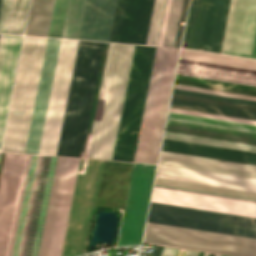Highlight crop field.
<instances>
[{"instance_id": "1", "label": "crop field", "mask_w": 256, "mask_h": 256, "mask_svg": "<svg viewBox=\"0 0 256 256\" xmlns=\"http://www.w3.org/2000/svg\"><path fill=\"white\" fill-rule=\"evenodd\" d=\"M104 43L79 41L57 153L81 157ZM134 45H108L86 157L111 160Z\"/></svg>"}, {"instance_id": "2", "label": "crop field", "mask_w": 256, "mask_h": 256, "mask_svg": "<svg viewBox=\"0 0 256 256\" xmlns=\"http://www.w3.org/2000/svg\"><path fill=\"white\" fill-rule=\"evenodd\" d=\"M47 38L24 37L2 151L24 153Z\"/></svg>"}, {"instance_id": "3", "label": "crop field", "mask_w": 256, "mask_h": 256, "mask_svg": "<svg viewBox=\"0 0 256 256\" xmlns=\"http://www.w3.org/2000/svg\"><path fill=\"white\" fill-rule=\"evenodd\" d=\"M178 51L156 49L134 162L157 161Z\"/></svg>"}, {"instance_id": "4", "label": "crop field", "mask_w": 256, "mask_h": 256, "mask_svg": "<svg viewBox=\"0 0 256 256\" xmlns=\"http://www.w3.org/2000/svg\"><path fill=\"white\" fill-rule=\"evenodd\" d=\"M56 159L31 157L12 256H37Z\"/></svg>"}, {"instance_id": "5", "label": "crop field", "mask_w": 256, "mask_h": 256, "mask_svg": "<svg viewBox=\"0 0 256 256\" xmlns=\"http://www.w3.org/2000/svg\"><path fill=\"white\" fill-rule=\"evenodd\" d=\"M155 49L134 47L112 160H134Z\"/></svg>"}, {"instance_id": "6", "label": "crop field", "mask_w": 256, "mask_h": 256, "mask_svg": "<svg viewBox=\"0 0 256 256\" xmlns=\"http://www.w3.org/2000/svg\"><path fill=\"white\" fill-rule=\"evenodd\" d=\"M144 242L234 256H256V239L147 222Z\"/></svg>"}, {"instance_id": "7", "label": "crop field", "mask_w": 256, "mask_h": 256, "mask_svg": "<svg viewBox=\"0 0 256 256\" xmlns=\"http://www.w3.org/2000/svg\"><path fill=\"white\" fill-rule=\"evenodd\" d=\"M30 157L5 155L0 180V256H11Z\"/></svg>"}, {"instance_id": "8", "label": "crop field", "mask_w": 256, "mask_h": 256, "mask_svg": "<svg viewBox=\"0 0 256 256\" xmlns=\"http://www.w3.org/2000/svg\"><path fill=\"white\" fill-rule=\"evenodd\" d=\"M68 158L58 157L38 256H49ZM79 159L69 158L50 256H60Z\"/></svg>"}, {"instance_id": "9", "label": "crop field", "mask_w": 256, "mask_h": 256, "mask_svg": "<svg viewBox=\"0 0 256 256\" xmlns=\"http://www.w3.org/2000/svg\"><path fill=\"white\" fill-rule=\"evenodd\" d=\"M147 221L256 238V219L151 203Z\"/></svg>"}, {"instance_id": "10", "label": "crop field", "mask_w": 256, "mask_h": 256, "mask_svg": "<svg viewBox=\"0 0 256 256\" xmlns=\"http://www.w3.org/2000/svg\"><path fill=\"white\" fill-rule=\"evenodd\" d=\"M78 41L62 39L39 154L55 155Z\"/></svg>"}, {"instance_id": "11", "label": "crop field", "mask_w": 256, "mask_h": 256, "mask_svg": "<svg viewBox=\"0 0 256 256\" xmlns=\"http://www.w3.org/2000/svg\"><path fill=\"white\" fill-rule=\"evenodd\" d=\"M155 168L150 164L133 165L117 246L141 242Z\"/></svg>"}, {"instance_id": "12", "label": "crop field", "mask_w": 256, "mask_h": 256, "mask_svg": "<svg viewBox=\"0 0 256 256\" xmlns=\"http://www.w3.org/2000/svg\"><path fill=\"white\" fill-rule=\"evenodd\" d=\"M156 176L256 191V182L254 181L220 177L201 173L158 167ZM159 177H156L154 185L256 201V192L165 179Z\"/></svg>"}, {"instance_id": "13", "label": "crop field", "mask_w": 256, "mask_h": 256, "mask_svg": "<svg viewBox=\"0 0 256 256\" xmlns=\"http://www.w3.org/2000/svg\"><path fill=\"white\" fill-rule=\"evenodd\" d=\"M161 151L256 165V161L254 160H247V159L228 157V156H222V155H216V154L196 152V151L177 149V148H171V147H165V146H162ZM164 152H161L160 161H159V164H162V165L182 167V168H188V169L202 170V171L222 173V174L256 179V166L210 160V159L197 158V157H190V156L177 155V154H170V153H164ZM162 165H158V166L168 167V166H162ZM175 167H168V168H175ZM182 168H175V169H182ZM188 169H182V170H188ZM195 170H189V171H195ZM202 171H195V172H202ZM208 172H202V173H208ZM215 173H209V174H215ZM222 174H216V175H222ZM228 175H223V176H228ZM235 176H230V177H235ZM242 177H237V178H242ZM248 178H244V179H248ZM255 179H251V180H255Z\"/></svg>"}, {"instance_id": "14", "label": "crop field", "mask_w": 256, "mask_h": 256, "mask_svg": "<svg viewBox=\"0 0 256 256\" xmlns=\"http://www.w3.org/2000/svg\"><path fill=\"white\" fill-rule=\"evenodd\" d=\"M208 195L154 187L151 202L256 218L254 202Z\"/></svg>"}, {"instance_id": "15", "label": "crop field", "mask_w": 256, "mask_h": 256, "mask_svg": "<svg viewBox=\"0 0 256 256\" xmlns=\"http://www.w3.org/2000/svg\"><path fill=\"white\" fill-rule=\"evenodd\" d=\"M116 0H87L79 39L108 41ZM126 0H117L109 41L118 42Z\"/></svg>"}, {"instance_id": "16", "label": "crop field", "mask_w": 256, "mask_h": 256, "mask_svg": "<svg viewBox=\"0 0 256 256\" xmlns=\"http://www.w3.org/2000/svg\"><path fill=\"white\" fill-rule=\"evenodd\" d=\"M61 39L48 38L25 153L38 154Z\"/></svg>"}, {"instance_id": "17", "label": "crop field", "mask_w": 256, "mask_h": 256, "mask_svg": "<svg viewBox=\"0 0 256 256\" xmlns=\"http://www.w3.org/2000/svg\"><path fill=\"white\" fill-rule=\"evenodd\" d=\"M165 138L256 152V144L167 130ZM164 139L165 146L256 159V153Z\"/></svg>"}, {"instance_id": "18", "label": "crop field", "mask_w": 256, "mask_h": 256, "mask_svg": "<svg viewBox=\"0 0 256 256\" xmlns=\"http://www.w3.org/2000/svg\"><path fill=\"white\" fill-rule=\"evenodd\" d=\"M22 36L0 37V144Z\"/></svg>"}, {"instance_id": "19", "label": "crop field", "mask_w": 256, "mask_h": 256, "mask_svg": "<svg viewBox=\"0 0 256 256\" xmlns=\"http://www.w3.org/2000/svg\"><path fill=\"white\" fill-rule=\"evenodd\" d=\"M231 55L256 59V0H242Z\"/></svg>"}, {"instance_id": "20", "label": "crop field", "mask_w": 256, "mask_h": 256, "mask_svg": "<svg viewBox=\"0 0 256 256\" xmlns=\"http://www.w3.org/2000/svg\"><path fill=\"white\" fill-rule=\"evenodd\" d=\"M167 129L256 143V131L169 118Z\"/></svg>"}, {"instance_id": "21", "label": "crop field", "mask_w": 256, "mask_h": 256, "mask_svg": "<svg viewBox=\"0 0 256 256\" xmlns=\"http://www.w3.org/2000/svg\"><path fill=\"white\" fill-rule=\"evenodd\" d=\"M170 2H171V0H167V3H166L165 13H164V18H163L159 43H158V45H160V46H162V44H163L165 28H166V23H167L169 8H170ZM182 5H183V0H172L163 46L174 47V45H175ZM187 5H188V0H184L180 23L184 22V20H185ZM183 27H184V25H179V30H178L175 47H179V45H180Z\"/></svg>"}, {"instance_id": "22", "label": "crop field", "mask_w": 256, "mask_h": 256, "mask_svg": "<svg viewBox=\"0 0 256 256\" xmlns=\"http://www.w3.org/2000/svg\"><path fill=\"white\" fill-rule=\"evenodd\" d=\"M155 0H145L136 44L146 45ZM165 0H156L147 45H156Z\"/></svg>"}, {"instance_id": "23", "label": "crop field", "mask_w": 256, "mask_h": 256, "mask_svg": "<svg viewBox=\"0 0 256 256\" xmlns=\"http://www.w3.org/2000/svg\"><path fill=\"white\" fill-rule=\"evenodd\" d=\"M29 0H0V33L22 34Z\"/></svg>"}, {"instance_id": "24", "label": "crop field", "mask_w": 256, "mask_h": 256, "mask_svg": "<svg viewBox=\"0 0 256 256\" xmlns=\"http://www.w3.org/2000/svg\"><path fill=\"white\" fill-rule=\"evenodd\" d=\"M54 0H32L25 35L47 36Z\"/></svg>"}, {"instance_id": "25", "label": "crop field", "mask_w": 256, "mask_h": 256, "mask_svg": "<svg viewBox=\"0 0 256 256\" xmlns=\"http://www.w3.org/2000/svg\"><path fill=\"white\" fill-rule=\"evenodd\" d=\"M178 69L256 80V71L180 59Z\"/></svg>"}, {"instance_id": "26", "label": "crop field", "mask_w": 256, "mask_h": 256, "mask_svg": "<svg viewBox=\"0 0 256 256\" xmlns=\"http://www.w3.org/2000/svg\"><path fill=\"white\" fill-rule=\"evenodd\" d=\"M218 0H203L193 49L208 51Z\"/></svg>"}, {"instance_id": "27", "label": "crop field", "mask_w": 256, "mask_h": 256, "mask_svg": "<svg viewBox=\"0 0 256 256\" xmlns=\"http://www.w3.org/2000/svg\"><path fill=\"white\" fill-rule=\"evenodd\" d=\"M170 107L256 120V112L172 99Z\"/></svg>"}, {"instance_id": "28", "label": "crop field", "mask_w": 256, "mask_h": 256, "mask_svg": "<svg viewBox=\"0 0 256 256\" xmlns=\"http://www.w3.org/2000/svg\"><path fill=\"white\" fill-rule=\"evenodd\" d=\"M143 0H127L119 42L135 44Z\"/></svg>"}, {"instance_id": "29", "label": "crop field", "mask_w": 256, "mask_h": 256, "mask_svg": "<svg viewBox=\"0 0 256 256\" xmlns=\"http://www.w3.org/2000/svg\"><path fill=\"white\" fill-rule=\"evenodd\" d=\"M180 58L256 70V60L182 49Z\"/></svg>"}, {"instance_id": "30", "label": "crop field", "mask_w": 256, "mask_h": 256, "mask_svg": "<svg viewBox=\"0 0 256 256\" xmlns=\"http://www.w3.org/2000/svg\"><path fill=\"white\" fill-rule=\"evenodd\" d=\"M239 5H240V0L230 1L227 21H226L221 51H220L221 54L230 55L231 53Z\"/></svg>"}, {"instance_id": "31", "label": "crop field", "mask_w": 256, "mask_h": 256, "mask_svg": "<svg viewBox=\"0 0 256 256\" xmlns=\"http://www.w3.org/2000/svg\"><path fill=\"white\" fill-rule=\"evenodd\" d=\"M230 0H219L211 44L209 51L217 52L220 51L228 6Z\"/></svg>"}, {"instance_id": "32", "label": "crop field", "mask_w": 256, "mask_h": 256, "mask_svg": "<svg viewBox=\"0 0 256 256\" xmlns=\"http://www.w3.org/2000/svg\"><path fill=\"white\" fill-rule=\"evenodd\" d=\"M202 0H191L188 20L185 28V34L183 39L184 48L192 49L195 33L199 21L200 10H201Z\"/></svg>"}, {"instance_id": "33", "label": "crop field", "mask_w": 256, "mask_h": 256, "mask_svg": "<svg viewBox=\"0 0 256 256\" xmlns=\"http://www.w3.org/2000/svg\"><path fill=\"white\" fill-rule=\"evenodd\" d=\"M69 0H55L48 36L61 38Z\"/></svg>"}, {"instance_id": "34", "label": "crop field", "mask_w": 256, "mask_h": 256, "mask_svg": "<svg viewBox=\"0 0 256 256\" xmlns=\"http://www.w3.org/2000/svg\"><path fill=\"white\" fill-rule=\"evenodd\" d=\"M169 112L204 117V118L218 119V120H224V121H231V122H237V123H244V124H250V125H256V121L238 119V118H232V117H225V116H219V115H212V114H205V113H199V112H192V111H186V110H179V109H173V108H170Z\"/></svg>"}, {"instance_id": "35", "label": "crop field", "mask_w": 256, "mask_h": 256, "mask_svg": "<svg viewBox=\"0 0 256 256\" xmlns=\"http://www.w3.org/2000/svg\"><path fill=\"white\" fill-rule=\"evenodd\" d=\"M172 98L256 111L255 106L228 103V102L215 101V100L202 99V98L189 97V96H182V95H176V94H173Z\"/></svg>"}, {"instance_id": "36", "label": "crop field", "mask_w": 256, "mask_h": 256, "mask_svg": "<svg viewBox=\"0 0 256 256\" xmlns=\"http://www.w3.org/2000/svg\"><path fill=\"white\" fill-rule=\"evenodd\" d=\"M173 93L182 94V95H189V96H196V97H202V98H209V99H215V100H222V101H228V102L242 103V104H248V105H255L256 106V101L229 98V97L216 96V95L203 94V93L190 92V91H183V90H177V89H174Z\"/></svg>"}, {"instance_id": "37", "label": "crop field", "mask_w": 256, "mask_h": 256, "mask_svg": "<svg viewBox=\"0 0 256 256\" xmlns=\"http://www.w3.org/2000/svg\"><path fill=\"white\" fill-rule=\"evenodd\" d=\"M177 74L256 86V82L178 70Z\"/></svg>"}, {"instance_id": "38", "label": "crop field", "mask_w": 256, "mask_h": 256, "mask_svg": "<svg viewBox=\"0 0 256 256\" xmlns=\"http://www.w3.org/2000/svg\"><path fill=\"white\" fill-rule=\"evenodd\" d=\"M174 88L197 91V92H204V93H210V94H217V95H224V96H230V97H237V98H243V99L256 100V97H254V96L241 95V94L222 92V91H216V90H210V89H203V88H197V87H190V86H184V85H178V84H175Z\"/></svg>"}, {"instance_id": "39", "label": "crop field", "mask_w": 256, "mask_h": 256, "mask_svg": "<svg viewBox=\"0 0 256 256\" xmlns=\"http://www.w3.org/2000/svg\"><path fill=\"white\" fill-rule=\"evenodd\" d=\"M168 116L190 119V120L203 121V122H210V123H216V124H223V125H229V126H236V127H242V128H249V129H255L256 130V126H250V125H244V124H237V123L224 122V121H218V120L204 119V118L178 115V114H172V113H169Z\"/></svg>"}, {"instance_id": "40", "label": "crop field", "mask_w": 256, "mask_h": 256, "mask_svg": "<svg viewBox=\"0 0 256 256\" xmlns=\"http://www.w3.org/2000/svg\"><path fill=\"white\" fill-rule=\"evenodd\" d=\"M175 83L256 96V92H252V91H245V90H238V89H232V88L218 87V86L205 85V84L192 83V82H185V81H179V80H176Z\"/></svg>"}, {"instance_id": "41", "label": "crop field", "mask_w": 256, "mask_h": 256, "mask_svg": "<svg viewBox=\"0 0 256 256\" xmlns=\"http://www.w3.org/2000/svg\"><path fill=\"white\" fill-rule=\"evenodd\" d=\"M177 249L164 247L160 256H174Z\"/></svg>"}, {"instance_id": "42", "label": "crop field", "mask_w": 256, "mask_h": 256, "mask_svg": "<svg viewBox=\"0 0 256 256\" xmlns=\"http://www.w3.org/2000/svg\"><path fill=\"white\" fill-rule=\"evenodd\" d=\"M163 247L156 246L152 256H159Z\"/></svg>"}, {"instance_id": "43", "label": "crop field", "mask_w": 256, "mask_h": 256, "mask_svg": "<svg viewBox=\"0 0 256 256\" xmlns=\"http://www.w3.org/2000/svg\"><path fill=\"white\" fill-rule=\"evenodd\" d=\"M199 252L187 250L185 256H197Z\"/></svg>"}, {"instance_id": "44", "label": "crop field", "mask_w": 256, "mask_h": 256, "mask_svg": "<svg viewBox=\"0 0 256 256\" xmlns=\"http://www.w3.org/2000/svg\"><path fill=\"white\" fill-rule=\"evenodd\" d=\"M186 250L178 249L175 256H184Z\"/></svg>"}, {"instance_id": "45", "label": "crop field", "mask_w": 256, "mask_h": 256, "mask_svg": "<svg viewBox=\"0 0 256 256\" xmlns=\"http://www.w3.org/2000/svg\"><path fill=\"white\" fill-rule=\"evenodd\" d=\"M204 256H220V255L205 253Z\"/></svg>"}, {"instance_id": "46", "label": "crop field", "mask_w": 256, "mask_h": 256, "mask_svg": "<svg viewBox=\"0 0 256 256\" xmlns=\"http://www.w3.org/2000/svg\"><path fill=\"white\" fill-rule=\"evenodd\" d=\"M221 256H223V255H221Z\"/></svg>"}]
</instances>
